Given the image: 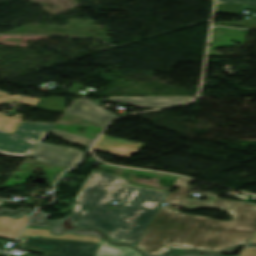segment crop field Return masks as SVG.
Listing matches in <instances>:
<instances>
[{"label":"crop field","instance_id":"obj_1","mask_svg":"<svg viewBox=\"0 0 256 256\" xmlns=\"http://www.w3.org/2000/svg\"><path fill=\"white\" fill-rule=\"evenodd\" d=\"M208 200L188 198L184 209L215 208L228 213L232 220L217 221L206 217L184 215L178 210L160 206L137 247L149 256L166 254L170 248L219 252L246 244L256 232V204L218 199L215 194L196 192Z\"/></svg>","mask_w":256,"mask_h":256},{"label":"crop field","instance_id":"obj_2","mask_svg":"<svg viewBox=\"0 0 256 256\" xmlns=\"http://www.w3.org/2000/svg\"><path fill=\"white\" fill-rule=\"evenodd\" d=\"M166 195L94 170L77 198L71 224L98 228L112 239L136 245ZM113 200L119 201V209L109 208Z\"/></svg>","mask_w":256,"mask_h":256},{"label":"crop field","instance_id":"obj_3","mask_svg":"<svg viewBox=\"0 0 256 256\" xmlns=\"http://www.w3.org/2000/svg\"><path fill=\"white\" fill-rule=\"evenodd\" d=\"M54 125L21 122L13 134L0 130V152L11 156H29Z\"/></svg>","mask_w":256,"mask_h":256},{"label":"crop field","instance_id":"obj_4","mask_svg":"<svg viewBox=\"0 0 256 256\" xmlns=\"http://www.w3.org/2000/svg\"><path fill=\"white\" fill-rule=\"evenodd\" d=\"M20 249L43 256H96L100 243L21 236Z\"/></svg>","mask_w":256,"mask_h":256},{"label":"crop field","instance_id":"obj_5","mask_svg":"<svg viewBox=\"0 0 256 256\" xmlns=\"http://www.w3.org/2000/svg\"><path fill=\"white\" fill-rule=\"evenodd\" d=\"M85 154L75 148L40 143L30 157L51 164L72 167Z\"/></svg>","mask_w":256,"mask_h":256},{"label":"crop field","instance_id":"obj_6","mask_svg":"<svg viewBox=\"0 0 256 256\" xmlns=\"http://www.w3.org/2000/svg\"><path fill=\"white\" fill-rule=\"evenodd\" d=\"M77 118L83 119L103 128L110 122L114 116L110 115L101 108L85 101L75 99L72 105L65 112Z\"/></svg>","mask_w":256,"mask_h":256},{"label":"crop field","instance_id":"obj_7","mask_svg":"<svg viewBox=\"0 0 256 256\" xmlns=\"http://www.w3.org/2000/svg\"><path fill=\"white\" fill-rule=\"evenodd\" d=\"M144 145V143L140 142L103 135L96 144L95 149L130 158L139 152Z\"/></svg>","mask_w":256,"mask_h":256},{"label":"crop field","instance_id":"obj_8","mask_svg":"<svg viewBox=\"0 0 256 256\" xmlns=\"http://www.w3.org/2000/svg\"><path fill=\"white\" fill-rule=\"evenodd\" d=\"M193 97H109L103 100L91 101H115L126 102L138 107L160 108L177 105L191 100Z\"/></svg>","mask_w":256,"mask_h":256},{"label":"crop field","instance_id":"obj_9","mask_svg":"<svg viewBox=\"0 0 256 256\" xmlns=\"http://www.w3.org/2000/svg\"><path fill=\"white\" fill-rule=\"evenodd\" d=\"M30 216L14 220L8 216L0 217V236L17 238Z\"/></svg>","mask_w":256,"mask_h":256},{"label":"crop field","instance_id":"obj_10","mask_svg":"<svg viewBox=\"0 0 256 256\" xmlns=\"http://www.w3.org/2000/svg\"><path fill=\"white\" fill-rule=\"evenodd\" d=\"M14 103L20 102L18 95L10 96L2 91H0V104L1 103ZM6 115L0 113V129L13 133L19 123L22 121L23 115L16 114L10 118H6Z\"/></svg>","mask_w":256,"mask_h":256},{"label":"crop field","instance_id":"obj_11","mask_svg":"<svg viewBox=\"0 0 256 256\" xmlns=\"http://www.w3.org/2000/svg\"><path fill=\"white\" fill-rule=\"evenodd\" d=\"M244 4L256 10V0H218L216 12L236 15Z\"/></svg>","mask_w":256,"mask_h":256},{"label":"crop field","instance_id":"obj_12","mask_svg":"<svg viewBox=\"0 0 256 256\" xmlns=\"http://www.w3.org/2000/svg\"><path fill=\"white\" fill-rule=\"evenodd\" d=\"M23 235L36 236V237H38V235H40L41 237H47V238H58V239H70V240L100 242L98 237L76 236L73 233H66V234L61 235V236H52L49 233V229H34L32 227H27V229H25Z\"/></svg>","mask_w":256,"mask_h":256},{"label":"crop field","instance_id":"obj_13","mask_svg":"<svg viewBox=\"0 0 256 256\" xmlns=\"http://www.w3.org/2000/svg\"><path fill=\"white\" fill-rule=\"evenodd\" d=\"M97 256H143L135 249L116 246L108 242H101Z\"/></svg>","mask_w":256,"mask_h":256},{"label":"crop field","instance_id":"obj_14","mask_svg":"<svg viewBox=\"0 0 256 256\" xmlns=\"http://www.w3.org/2000/svg\"><path fill=\"white\" fill-rule=\"evenodd\" d=\"M190 179L179 177L174 183V187L179 188L177 192L169 193L164 202L173 203L175 205H183V202L189 191L188 182Z\"/></svg>","mask_w":256,"mask_h":256},{"label":"crop field","instance_id":"obj_15","mask_svg":"<svg viewBox=\"0 0 256 256\" xmlns=\"http://www.w3.org/2000/svg\"><path fill=\"white\" fill-rule=\"evenodd\" d=\"M64 107H65V99L49 97V98L39 99V101L37 102L34 108L64 113L67 110V109H64Z\"/></svg>","mask_w":256,"mask_h":256},{"label":"crop field","instance_id":"obj_16","mask_svg":"<svg viewBox=\"0 0 256 256\" xmlns=\"http://www.w3.org/2000/svg\"><path fill=\"white\" fill-rule=\"evenodd\" d=\"M50 134L61 136L67 141H70V142H73V143H76V144H80V145H84V146H88V147H90L91 143L94 141L92 139L83 138V137H80V136H76V135H73V134L61 132V131L54 130V129H52Z\"/></svg>","mask_w":256,"mask_h":256},{"label":"crop field","instance_id":"obj_17","mask_svg":"<svg viewBox=\"0 0 256 256\" xmlns=\"http://www.w3.org/2000/svg\"><path fill=\"white\" fill-rule=\"evenodd\" d=\"M216 25H231L243 28H256V19H246L245 22H221Z\"/></svg>","mask_w":256,"mask_h":256},{"label":"crop field","instance_id":"obj_18","mask_svg":"<svg viewBox=\"0 0 256 256\" xmlns=\"http://www.w3.org/2000/svg\"><path fill=\"white\" fill-rule=\"evenodd\" d=\"M84 87V85H80L78 83H74L72 84L69 89L67 90V92H71V93H75V94H78L81 89Z\"/></svg>","mask_w":256,"mask_h":256},{"label":"crop field","instance_id":"obj_19","mask_svg":"<svg viewBox=\"0 0 256 256\" xmlns=\"http://www.w3.org/2000/svg\"><path fill=\"white\" fill-rule=\"evenodd\" d=\"M241 256H256V247H247Z\"/></svg>","mask_w":256,"mask_h":256},{"label":"crop field","instance_id":"obj_20","mask_svg":"<svg viewBox=\"0 0 256 256\" xmlns=\"http://www.w3.org/2000/svg\"><path fill=\"white\" fill-rule=\"evenodd\" d=\"M22 102L24 104H28L32 107H34V105L36 104V102L38 101V99H35V98H26V97H22Z\"/></svg>","mask_w":256,"mask_h":256},{"label":"crop field","instance_id":"obj_21","mask_svg":"<svg viewBox=\"0 0 256 256\" xmlns=\"http://www.w3.org/2000/svg\"><path fill=\"white\" fill-rule=\"evenodd\" d=\"M250 245H256V235L254 236V238L252 239L251 241V244Z\"/></svg>","mask_w":256,"mask_h":256},{"label":"crop field","instance_id":"obj_22","mask_svg":"<svg viewBox=\"0 0 256 256\" xmlns=\"http://www.w3.org/2000/svg\"><path fill=\"white\" fill-rule=\"evenodd\" d=\"M3 202H4L3 200H0V205H1Z\"/></svg>","mask_w":256,"mask_h":256},{"label":"crop field","instance_id":"obj_23","mask_svg":"<svg viewBox=\"0 0 256 256\" xmlns=\"http://www.w3.org/2000/svg\"><path fill=\"white\" fill-rule=\"evenodd\" d=\"M209 1H213V0H209Z\"/></svg>","mask_w":256,"mask_h":256}]
</instances>
